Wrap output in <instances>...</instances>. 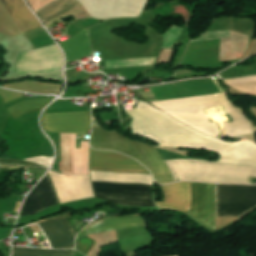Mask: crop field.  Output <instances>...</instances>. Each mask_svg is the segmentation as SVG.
<instances>
[{"instance_id": "obj_4", "label": "crop field", "mask_w": 256, "mask_h": 256, "mask_svg": "<svg viewBox=\"0 0 256 256\" xmlns=\"http://www.w3.org/2000/svg\"><path fill=\"white\" fill-rule=\"evenodd\" d=\"M121 136L115 131L110 132L101 127H93L90 145L98 149L121 152L137 159L152 172L158 184L174 182L155 147L130 141Z\"/></svg>"}, {"instance_id": "obj_2", "label": "crop field", "mask_w": 256, "mask_h": 256, "mask_svg": "<svg viewBox=\"0 0 256 256\" xmlns=\"http://www.w3.org/2000/svg\"><path fill=\"white\" fill-rule=\"evenodd\" d=\"M116 153V152H115ZM90 149V170L149 173L142 165L123 155ZM91 171L92 180L152 183L151 175ZM92 181L96 197L119 205L155 207L152 184Z\"/></svg>"}, {"instance_id": "obj_10", "label": "crop field", "mask_w": 256, "mask_h": 256, "mask_svg": "<svg viewBox=\"0 0 256 256\" xmlns=\"http://www.w3.org/2000/svg\"><path fill=\"white\" fill-rule=\"evenodd\" d=\"M165 200L156 202L160 208L175 209L184 212L190 211L191 187L190 182H178L172 185L161 186Z\"/></svg>"}, {"instance_id": "obj_11", "label": "crop field", "mask_w": 256, "mask_h": 256, "mask_svg": "<svg viewBox=\"0 0 256 256\" xmlns=\"http://www.w3.org/2000/svg\"><path fill=\"white\" fill-rule=\"evenodd\" d=\"M141 226H147V224L138 214H132L125 217L106 218L88 225L80 232L78 237L89 233H96L113 229L136 228Z\"/></svg>"}, {"instance_id": "obj_17", "label": "crop field", "mask_w": 256, "mask_h": 256, "mask_svg": "<svg viewBox=\"0 0 256 256\" xmlns=\"http://www.w3.org/2000/svg\"><path fill=\"white\" fill-rule=\"evenodd\" d=\"M74 250H42L14 247L13 256H73Z\"/></svg>"}, {"instance_id": "obj_5", "label": "crop field", "mask_w": 256, "mask_h": 256, "mask_svg": "<svg viewBox=\"0 0 256 256\" xmlns=\"http://www.w3.org/2000/svg\"><path fill=\"white\" fill-rule=\"evenodd\" d=\"M216 216L241 217L256 207V186L215 184Z\"/></svg>"}, {"instance_id": "obj_6", "label": "crop field", "mask_w": 256, "mask_h": 256, "mask_svg": "<svg viewBox=\"0 0 256 256\" xmlns=\"http://www.w3.org/2000/svg\"><path fill=\"white\" fill-rule=\"evenodd\" d=\"M91 123L90 111L45 114L43 124L52 132L86 135Z\"/></svg>"}, {"instance_id": "obj_7", "label": "crop field", "mask_w": 256, "mask_h": 256, "mask_svg": "<svg viewBox=\"0 0 256 256\" xmlns=\"http://www.w3.org/2000/svg\"><path fill=\"white\" fill-rule=\"evenodd\" d=\"M190 214L215 228L214 184L191 182Z\"/></svg>"}, {"instance_id": "obj_16", "label": "crop field", "mask_w": 256, "mask_h": 256, "mask_svg": "<svg viewBox=\"0 0 256 256\" xmlns=\"http://www.w3.org/2000/svg\"><path fill=\"white\" fill-rule=\"evenodd\" d=\"M51 100L52 99H34L22 101L21 103L6 110L12 115V117L17 119L27 112L44 108L51 102Z\"/></svg>"}, {"instance_id": "obj_9", "label": "crop field", "mask_w": 256, "mask_h": 256, "mask_svg": "<svg viewBox=\"0 0 256 256\" xmlns=\"http://www.w3.org/2000/svg\"><path fill=\"white\" fill-rule=\"evenodd\" d=\"M49 178L45 177L32 194L30 193L20 215L35 214L59 203Z\"/></svg>"}, {"instance_id": "obj_15", "label": "crop field", "mask_w": 256, "mask_h": 256, "mask_svg": "<svg viewBox=\"0 0 256 256\" xmlns=\"http://www.w3.org/2000/svg\"><path fill=\"white\" fill-rule=\"evenodd\" d=\"M78 5H80L78 0H57L38 11L37 14L45 23Z\"/></svg>"}, {"instance_id": "obj_3", "label": "crop field", "mask_w": 256, "mask_h": 256, "mask_svg": "<svg viewBox=\"0 0 256 256\" xmlns=\"http://www.w3.org/2000/svg\"><path fill=\"white\" fill-rule=\"evenodd\" d=\"M152 104L177 120L213 137H218V135L204 115L207 107L221 105L230 114L234 122L224 125L229 136L253 133L251 124L243 111L232 105L226 93L154 102Z\"/></svg>"}, {"instance_id": "obj_8", "label": "crop field", "mask_w": 256, "mask_h": 256, "mask_svg": "<svg viewBox=\"0 0 256 256\" xmlns=\"http://www.w3.org/2000/svg\"><path fill=\"white\" fill-rule=\"evenodd\" d=\"M40 223L42 230L53 248H74V235L70 232L73 227L65 217L56 219L55 216Z\"/></svg>"}, {"instance_id": "obj_1", "label": "crop field", "mask_w": 256, "mask_h": 256, "mask_svg": "<svg viewBox=\"0 0 256 256\" xmlns=\"http://www.w3.org/2000/svg\"><path fill=\"white\" fill-rule=\"evenodd\" d=\"M133 117V133L155 139L161 146L209 149L220 154L217 161L256 166V144L251 141L224 142L196 132L146 103L126 110ZM175 179L205 182L250 183L256 167L224 162L180 159L165 161Z\"/></svg>"}, {"instance_id": "obj_14", "label": "crop field", "mask_w": 256, "mask_h": 256, "mask_svg": "<svg viewBox=\"0 0 256 256\" xmlns=\"http://www.w3.org/2000/svg\"><path fill=\"white\" fill-rule=\"evenodd\" d=\"M59 44L65 51L67 62L92 55L86 29Z\"/></svg>"}, {"instance_id": "obj_12", "label": "crop field", "mask_w": 256, "mask_h": 256, "mask_svg": "<svg viewBox=\"0 0 256 256\" xmlns=\"http://www.w3.org/2000/svg\"><path fill=\"white\" fill-rule=\"evenodd\" d=\"M10 15L24 33L42 27L23 0H2Z\"/></svg>"}, {"instance_id": "obj_18", "label": "crop field", "mask_w": 256, "mask_h": 256, "mask_svg": "<svg viewBox=\"0 0 256 256\" xmlns=\"http://www.w3.org/2000/svg\"><path fill=\"white\" fill-rule=\"evenodd\" d=\"M224 82L236 90L256 95V76L238 79H226Z\"/></svg>"}, {"instance_id": "obj_13", "label": "crop field", "mask_w": 256, "mask_h": 256, "mask_svg": "<svg viewBox=\"0 0 256 256\" xmlns=\"http://www.w3.org/2000/svg\"><path fill=\"white\" fill-rule=\"evenodd\" d=\"M249 36L231 31V38L221 39L219 61L240 59L248 48Z\"/></svg>"}]
</instances>
